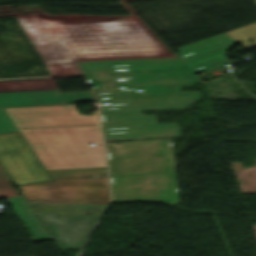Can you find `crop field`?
<instances>
[{
	"label": "crop field",
	"instance_id": "15",
	"mask_svg": "<svg viewBox=\"0 0 256 256\" xmlns=\"http://www.w3.org/2000/svg\"><path fill=\"white\" fill-rule=\"evenodd\" d=\"M125 1H130V0H125Z\"/></svg>",
	"mask_w": 256,
	"mask_h": 256
},
{
	"label": "crop field",
	"instance_id": "3",
	"mask_svg": "<svg viewBox=\"0 0 256 256\" xmlns=\"http://www.w3.org/2000/svg\"><path fill=\"white\" fill-rule=\"evenodd\" d=\"M4 110L45 170L106 167L98 110L90 116L74 105Z\"/></svg>",
	"mask_w": 256,
	"mask_h": 256
},
{
	"label": "crop field",
	"instance_id": "2",
	"mask_svg": "<svg viewBox=\"0 0 256 256\" xmlns=\"http://www.w3.org/2000/svg\"><path fill=\"white\" fill-rule=\"evenodd\" d=\"M19 20L54 76L81 75L75 60L173 56L138 19L75 24Z\"/></svg>",
	"mask_w": 256,
	"mask_h": 256
},
{
	"label": "crop field",
	"instance_id": "1",
	"mask_svg": "<svg viewBox=\"0 0 256 256\" xmlns=\"http://www.w3.org/2000/svg\"><path fill=\"white\" fill-rule=\"evenodd\" d=\"M115 91L95 93L102 108L106 140L179 136L177 124H157L142 109L186 108L199 100L198 91L180 92L201 80L180 58H149L108 61ZM142 89L145 92H136Z\"/></svg>",
	"mask_w": 256,
	"mask_h": 256
},
{
	"label": "crop field",
	"instance_id": "9",
	"mask_svg": "<svg viewBox=\"0 0 256 256\" xmlns=\"http://www.w3.org/2000/svg\"><path fill=\"white\" fill-rule=\"evenodd\" d=\"M74 101H95L91 93L59 94L53 91L0 93V107L66 104Z\"/></svg>",
	"mask_w": 256,
	"mask_h": 256
},
{
	"label": "crop field",
	"instance_id": "7",
	"mask_svg": "<svg viewBox=\"0 0 256 256\" xmlns=\"http://www.w3.org/2000/svg\"><path fill=\"white\" fill-rule=\"evenodd\" d=\"M36 215L60 250L81 248L90 230L100 217L96 215L45 213H36Z\"/></svg>",
	"mask_w": 256,
	"mask_h": 256
},
{
	"label": "crop field",
	"instance_id": "10",
	"mask_svg": "<svg viewBox=\"0 0 256 256\" xmlns=\"http://www.w3.org/2000/svg\"><path fill=\"white\" fill-rule=\"evenodd\" d=\"M19 218L27 228L34 242L52 240L46 229L43 227L32 208L26 202L24 197L16 196L7 198Z\"/></svg>",
	"mask_w": 256,
	"mask_h": 256
},
{
	"label": "crop field",
	"instance_id": "12",
	"mask_svg": "<svg viewBox=\"0 0 256 256\" xmlns=\"http://www.w3.org/2000/svg\"><path fill=\"white\" fill-rule=\"evenodd\" d=\"M16 131H18L17 128L9 119L3 108H0V134Z\"/></svg>",
	"mask_w": 256,
	"mask_h": 256
},
{
	"label": "crop field",
	"instance_id": "8",
	"mask_svg": "<svg viewBox=\"0 0 256 256\" xmlns=\"http://www.w3.org/2000/svg\"><path fill=\"white\" fill-rule=\"evenodd\" d=\"M238 44L225 33L178 48L177 55L194 72L214 69L231 63L226 60L227 50Z\"/></svg>",
	"mask_w": 256,
	"mask_h": 256
},
{
	"label": "crop field",
	"instance_id": "13",
	"mask_svg": "<svg viewBox=\"0 0 256 256\" xmlns=\"http://www.w3.org/2000/svg\"><path fill=\"white\" fill-rule=\"evenodd\" d=\"M12 182V179L0 163V188L10 187Z\"/></svg>",
	"mask_w": 256,
	"mask_h": 256
},
{
	"label": "crop field",
	"instance_id": "11",
	"mask_svg": "<svg viewBox=\"0 0 256 256\" xmlns=\"http://www.w3.org/2000/svg\"><path fill=\"white\" fill-rule=\"evenodd\" d=\"M78 63L94 92L114 90L107 61Z\"/></svg>",
	"mask_w": 256,
	"mask_h": 256
},
{
	"label": "crop field",
	"instance_id": "4",
	"mask_svg": "<svg viewBox=\"0 0 256 256\" xmlns=\"http://www.w3.org/2000/svg\"><path fill=\"white\" fill-rule=\"evenodd\" d=\"M106 144L113 202L178 203L171 139Z\"/></svg>",
	"mask_w": 256,
	"mask_h": 256
},
{
	"label": "crop field",
	"instance_id": "5",
	"mask_svg": "<svg viewBox=\"0 0 256 256\" xmlns=\"http://www.w3.org/2000/svg\"><path fill=\"white\" fill-rule=\"evenodd\" d=\"M47 172L54 181L18 186L34 212L96 215L103 213L109 201L106 168ZM94 175L102 177L83 178Z\"/></svg>",
	"mask_w": 256,
	"mask_h": 256
},
{
	"label": "crop field",
	"instance_id": "14",
	"mask_svg": "<svg viewBox=\"0 0 256 256\" xmlns=\"http://www.w3.org/2000/svg\"><path fill=\"white\" fill-rule=\"evenodd\" d=\"M18 195L14 187L0 189V198Z\"/></svg>",
	"mask_w": 256,
	"mask_h": 256
},
{
	"label": "crop field",
	"instance_id": "6",
	"mask_svg": "<svg viewBox=\"0 0 256 256\" xmlns=\"http://www.w3.org/2000/svg\"><path fill=\"white\" fill-rule=\"evenodd\" d=\"M23 138L20 132L0 135V162L19 185L51 181Z\"/></svg>",
	"mask_w": 256,
	"mask_h": 256
}]
</instances>
